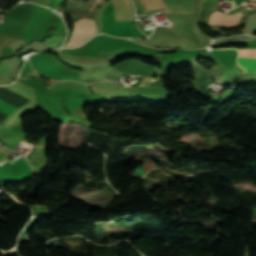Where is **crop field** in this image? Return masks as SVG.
<instances>
[{
	"label": "crop field",
	"instance_id": "crop-field-4",
	"mask_svg": "<svg viewBox=\"0 0 256 256\" xmlns=\"http://www.w3.org/2000/svg\"><path fill=\"white\" fill-rule=\"evenodd\" d=\"M30 207L32 208V210H33V212H34V216H37L36 215V210H35V205H30ZM43 207L45 208V210H46V212H47V215H50L49 214V211H48V209H47V207H46V205H43Z\"/></svg>",
	"mask_w": 256,
	"mask_h": 256
},
{
	"label": "crop field",
	"instance_id": "crop-field-7",
	"mask_svg": "<svg viewBox=\"0 0 256 256\" xmlns=\"http://www.w3.org/2000/svg\"><path fill=\"white\" fill-rule=\"evenodd\" d=\"M246 256H249V249L247 248V254H246Z\"/></svg>",
	"mask_w": 256,
	"mask_h": 256
},
{
	"label": "crop field",
	"instance_id": "crop-field-3",
	"mask_svg": "<svg viewBox=\"0 0 256 256\" xmlns=\"http://www.w3.org/2000/svg\"><path fill=\"white\" fill-rule=\"evenodd\" d=\"M20 106L0 97V110L10 114L16 109H18Z\"/></svg>",
	"mask_w": 256,
	"mask_h": 256
},
{
	"label": "crop field",
	"instance_id": "crop-field-9",
	"mask_svg": "<svg viewBox=\"0 0 256 256\" xmlns=\"http://www.w3.org/2000/svg\"><path fill=\"white\" fill-rule=\"evenodd\" d=\"M253 215H256V214H253Z\"/></svg>",
	"mask_w": 256,
	"mask_h": 256
},
{
	"label": "crop field",
	"instance_id": "crop-field-8",
	"mask_svg": "<svg viewBox=\"0 0 256 256\" xmlns=\"http://www.w3.org/2000/svg\"><path fill=\"white\" fill-rule=\"evenodd\" d=\"M0 159H2L1 155H0Z\"/></svg>",
	"mask_w": 256,
	"mask_h": 256
},
{
	"label": "crop field",
	"instance_id": "crop-field-6",
	"mask_svg": "<svg viewBox=\"0 0 256 256\" xmlns=\"http://www.w3.org/2000/svg\"><path fill=\"white\" fill-rule=\"evenodd\" d=\"M243 0H233L234 6L239 5Z\"/></svg>",
	"mask_w": 256,
	"mask_h": 256
},
{
	"label": "crop field",
	"instance_id": "crop-field-5",
	"mask_svg": "<svg viewBox=\"0 0 256 256\" xmlns=\"http://www.w3.org/2000/svg\"><path fill=\"white\" fill-rule=\"evenodd\" d=\"M132 176H143V175L141 173H139L137 170H135V172H133Z\"/></svg>",
	"mask_w": 256,
	"mask_h": 256
},
{
	"label": "crop field",
	"instance_id": "crop-field-2",
	"mask_svg": "<svg viewBox=\"0 0 256 256\" xmlns=\"http://www.w3.org/2000/svg\"><path fill=\"white\" fill-rule=\"evenodd\" d=\"M11 165L13 166V168L18 173V176H17L15 182L23 181V180L27 179L32 174L31 167L26 162V160L22 157L20 159L16 160Z\"/></svg>",
	"mask_w": 256,
	"mask_h": 256
},
{
	"label": "crop field",
	"instance_id": "crop-field-1",
	"mask_svg": "<svg viewBox=\"0 0 256 256\" xmlns=\"http://www.w3.org/2000/svg\"><path fill=\"white\" fill-rule=\"evenodd\" d=\"M239 55L256 57L255 49H245L239 51ZM238 56V63L244 67L246 71L256 73V58Z\"/></svg>",
	"mask_w": 256,
	"mask_h": 256
}]
</instances>
